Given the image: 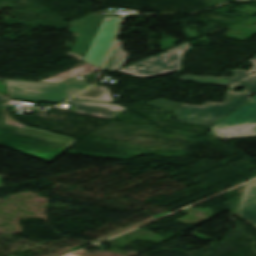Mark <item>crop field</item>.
<instances>
[{
    "label": "crop field",
    "instance_id": "d8731c3e",
    "mask_svg": "<svg viewBox=\"0 0 256 256\" xmlns=\"http://www.w3.org/2000/svg\"><path fill=\"white\" fill-rule=\"evenodd\" d=\"M66 104L74 105L72 112L95 115L113 119L118 114L126 110L120 105L96 103V102H86V101H76L70 100Z\"/></svg>",
    "mask_w": 256,
    "mask_h": 256
},
{
    "label": "crop field",
    "instance_id": "3316defc",
    "mask_svg": "<svg viewBox=\"0 0 256 256\" xmlns=\"http://www.w3.org/2000/svg\"><path fill=\"white\" fill-rule=\"evenodd\" d=\"M97 69H99V68H97V67L87 63V64H85L83 66L67 70V71H65L63 73H60L58 75H55L53 77L47 78L45 80H42V82L60 83L62 81L71 79V78H73L75 76L84 75V74L90 73V72L95 71Z\"/></svg>",
    "mask_w": 256,
    "mask_h": 256
},
{
    "label": "crop field",
    "instance_id": "34b2d1b8",
    "mask_svg": "<svg viewBox=\"0 0 256 256\" xmlns=\"http://www.w3.org/2000/svg\"><path fill=\"white\" fill-rule=\"evenodd\" d=\"M251 93H240L228 90L225 101L220 103L207 102L202 106L179 104L165 99H158L148 105L174 111L178 121L212 125L250 99Z\"/></svg>",
    "mask_w": 256,
    "mask_h": 256
},
{
    "label": "crop field",
    "instance_id": "e52e79f7",
    "mask_svg": "<svg viewBox=\"0 0 256 256\" xmlns=\"http://www.w3.org/2000/svg\"><path fill=\"white\" fill-rule=\"evenodd\" d=\"M250 61L255 64V66L252 67L250 71L242 70V69H240L241 71H239V69H237L232 73L235 75V77H232V78L225 77V76L223 77L195 76L197 78H193L191 77L193 75H187V76L181 77V79L203 82V83H210V84H217V85H222L230 88L237 85V86L246 88L244 92L256 93V74L255 75L250 74L251 72H256V57L252 58Z\"/></svg>",
    "mask_w": 256,
    "mask_h": 256
},
{
    "label": "crop field",
    "instance_id": "5142ce71",
    "mask_svg": "<svg viewBox=\"0 0 256 256\" xmlns=\"http://www.w3.org/2000/svg\"><path fill=\"white\" fill-rule=\"evenodd\" d=\"M5 100H8V99L3 98V97L0 96V102L5 101Z\"/></svg>",
    "mask_w": 256,
    "mask_h": 256
},
{
    "label": "crop field",
    "instance_id": "22f410ed",
    "mask_svg": "<svg viewBox=\"0 0 256 256\" xmlns=\"http://www.w3.org/2000/svg\"><path fill=\"white\" fill-rule=\"evenodd\" d=\"M2 112H3V118H4L5 125L13 126V127H20V128L25 127V125L19 123L18 121H16L13 117H11L8 114L7 108L2 109Z\"/></svg>",
    "mask_w": 256,
    "mask_h": 256
},
{
    "label": "crop field",
    "instance_id": "412701ff",
    "mask_svg": "<svg viewBox=\"0 0 256 256\" xmlns=\"http://www.w3.org/2000/svg\"><path fill=\"white\" fill-rule=\"evenodd\" d=\"M11 98L60 103L90 84L72 79L61 85L6 81Z\"/></svg>",
    "mask_w": 256,
    "mask_h": 256
},
{
    "label": "crop field",
    "instance_id": "d1516ede",
    "mask_svg": "<svg viewBox=\"0 0 256 256\" xmlns=\"http://www.w3.org/2000/svg\"><path fill=\"white\" fill-rule=\"evenodd\" d=\"M122 43L123 42H121V41H117L106 65L104 67L105 70L112 72V71H115V70L123 67L121 65L124 64L128 55L121 50Z\"/></svg>",
    "mask_w": 256,
    "mask_h": 256
},
{
    "label": "crop field",
    "instance_id": "d9b57169",
    "mask_svg": "<svg viewBox=\"0 0 256 256\" xmlns=\"http://www.w3.org/2000/svg\"><path fill=\"white\" fill-rule=\"evenodd\" d=\"M250 102H256V96Z\"/></svg>",
    "mask_w": 256,
    "mask_h": 256
},
{
    "label": "crop field",
    "instance_id": "cbeb9de0",
    "mask_svg": "<svg viewBox=\"0 0 256 256\" xmlns=\"http://www.w3.org/2000/svg\"><path fill=\"white\" fill-rule=\"evenodd\" d=\"M67 54L72 55V56H74V58H76V59H78V60L83 61V60H82V58H83L82 56H79V55L73 54V53H71V52H69V53H67ZM83 62H85V61H83ZM85 63H87V62H85Z\"/></svg>",
    "mask_w": 256,
    "mask_h": 256
},
{
    "label": "crop field",
    "instance_id": "f4fd0767",
    "mask_svg": "<svg viewBox=\"0 0 256 256\" xmlns=\"http://www.w3.org/2000/svg\"><path fill=\"white\" fill-rule=\"evenodd\" d=\"M190 45L189 43H184L158 57H150L118 71L138 78H151L174 70L179 71L181 69L182 54L185 53Z\"/></svg>",
    "mask_w": 256,
    "mask_h": 256
},
{
    "label": "crop field",
    "instance_id": "8a807250",
    "mask_svg": "<svg viewBox=\"0 0 256 256\" xmlns=\"http://www.w3.org/2000/svg\"><path fill=\"white\" fill-rule=\"evenodd\" d=\"M119 19L91 16L82 25L73 24L70 32L80 35L72 52L86 55L85 61L101 68L115 41Z\"/></svg>",
    "mask_w": 256,
    "mask_h": 256
},
{
    "label": "crop field",
    "instance_id": "ac0d7876",
    "mask_svg": "<svg viewBox=\"0 0 256 256\" xmlns=\"http://www.w3.org/2000/svg\"><path fill=\"white\" fill-rule=\"evenodd\" d=\"M75 140L47 131L26 127L22 130L4 127L0 116V144L32 156L51 160L70 147Z\"/></svg>",
    "mask_w": 256,
    "mask_h": 256
},
{
    "label": "crop field",
    "instance_id": "dd49c442",
    "mask_svg": "<svg viewBox=\"0 0 256 256\" xmlns=\"http://www.w3.org/2000/svg\"><path fill=\"white\" fill-rule=\"evenodd\" d=\"M211 132L223 139L256 136V103L247 104L215 123Z\"/></svg>",
    "mask_w": 256,
    "mask_h": 256
},
{
    "label": "crop field",
    "instance_id": "28ad6ade",
    "mask_svg": "<svg viewBox=\"0 0 256 256\" xmlns=\"http://www.w3.org/2000/svg\"><path fill=\"white\" fill-rule=\"evenodd\" d=\"M74 98L114 103L108 89L98 85L92 86Z\"/></svg>",
    "mask_w": 256,
    "mask_h": 256
},
{
    "label": "crop field",
    "instance_id": "5a996713",
    "mask_svg": "<svg viewBox=\"0 0 256 256\" xmlns=\"http://www.w3.org/2000/svg\"><path fill=\"white\" fill-rule=\"evenodd\" d=\"M237 212L256 225V181L245 186Z\"/></svg>",
    "mask_w": 256,
    "mask_h": 256
}]
</instances>
